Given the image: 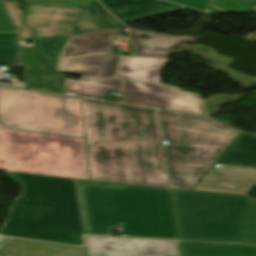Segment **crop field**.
<instances>
[{
  "label": "crop field",
  "instance_id": "f4fd0767",
  "mask_svg": "<svg viewBox=\"0 0 256 256\" xmlns=\"http://www.w3.org/2000/svg\"><path fill=\"white\" fill-rule=\"evenodd\" d=\"M0 170L89 180L85 139L0 128Z\"/></svg>",
  "mask_w": 256,
  "mask_h": 256
},
{
  "label": "crop field",
  "instance_id": "00972430",
  "mask_svg": "<svg viewBox=\"0 0 256 256\" xmlns=\"http://www.w3.org/2000/svg\"><path fill=\"white\" fill-rule=\"evenodd\" d=\"M256 9V0H212L209 12L248 13Z\"/></svg>",
  "mask_w": 256,
  "mask_h": 256
},
{
  "label": "crop field",
  "instance_id": "3316defc",
  "mask_svg": "<svg viewBox=\"0 0 256 256\" xmlns=\"http://www.w3.org/2000/svg\"><path fill=\"white\" fill-rule=\"evenodd\" d=\"M87 256H179L176 241L85 236Z\"/></svg>",
  "mask_w": 256,
  "mask_h": 256
},
{
  "label": "crop field",
  "instance_id": "5a996713",
  "mask_svg": "<svg viewBox=\"0 0 256 256\" xmlns=\"http://www.w3.org/2000/svg\"><path fill=\"white\" fill-rule=\"evenodd\" d=\"M122 93L126 94L124 103L209 116L199 94L178 87L125 81Z\"/></svg>",
  "mask_w": 256,
  "mask_h": 256
},
{
  "label": "crop field",
  "instance_id": "34b2d1b8",
  "mask_svg": "<svg viewBox=\"0 0 256 256\" xmlns=\"http://www.w3.org/2000/svg\"><path fill=\"white\" fill-rule=\"evenodd\" d=\"M5 173L23 191L0 235L83 245L74 179Z\"/></svg>",
  "mask_w": 256,
  "mask_h": 256
},
{
  "label": "crop field",
  "instance_id": "733c2abd",
  "mask_svg": "<svg viewBox=\"0 0 256 256\" xmlns=\"http://www.w3.org/2000/svg\"><path fill=\"white\" fill-rule=\"evenodd\" d=\"M166 60L159 58L121 57L116 78L161 84L159 75Z\"/></svg>",
  "mask_w": 256,
  "mask_h": 256
},
{
  "label": "crop field",
  "instance_id": "ae1a2a85",
  "mask_svg": "<svg viewBox=\"0 0 256 256\" xmlns=\"http://www.w3.org/2000/svg\"><path fill=\"white\" fill-rule=\"evenodd\" d=\"M118 57H107L103 65L102 71L99 77L102 78H113L116 62Z\"/></svg>",
  "mask_w": 256,
  "mask_h": 256
},
{
  "label": "crop field",
  "instance_id": "730fd06b",
  "mask_svg": "<svg viewBox=\"0 0 256 256\" xmlns=\"http://www.w3.org/2000/svg\"><path fill=\"white\" fill-rule=\"evenodd\" d=\"M4 5L9 13L15 27H19L22 29V30H20V32H18L19 37L23 38V37L34 36L33 30L22 25V22H21L22 10L16 6L15 2L14 1L5 2Z\"/></svg>",
  "mask_w": 256,
  "mask_h": 256
},
{
  "label": "crop field",
  "instance_id": "4a817a6b",
  "mask_svg": "<svg viewBox=\"0 0 256 256\" xmlns=\"http://www.w3.org/2000/svg\"><path fill=\"white\" fill-rule=\"evenodd\" d=\"M182 256H256L255 247L179 241Z\"/></svg>",
  "mask_w": 256,
  "mask_h": 256
},
{
  "label": "crop field",
  "instance_id": "5142ce71",
  "mask_svg": "<svg viewBox=\"0 0 256 256\" xmlns=\"http://www.w3.org/2000/svg\"><path fill=\"white\" fill-rule=\"evenodd\" d=\"M100 2L121 22L185 8L159 0H100Z\"/></svg>",
  "mask_w": 256,
  "mask_h": 256
},
{
  "label": "crop field",
  "instance_id": "214f88e0",
  "mask_svg": "<svg viewBox=\"0 0 256 256\" xmlns=\"http://www.w3.org/2000/svg\"><path fill=\"white\" fill-rule=\"evenodd\" d=\"M122 81L102 78L80 77L78 80L65 79V91L77 94L102 97L109 90L120 91Z\"/></svg>",
  "mask_w": 256,
  "mask_h": 256
},
{
  "label": "crop field",
  "instance_id": "750c4746",
  "mask_svg": "<svg viewBox=\"0 0 256 256\" xmlns=\"http://www.w3.org/2000/svg\"><path fill=\"white\" fill-rule=\"evenodd\" d=\"M9 20V19H8ZM7 20V17L0 5V32H6V31H15L12 27H11V23L9 24Z\"/></svg>",
  "mask_w": 256,
  "mask_h": 256
},
{
  "label": "crop field",
  "instance_id": "bc2a9ffb",
  "mask_svg": "<svg viewBox=\"0 0 256 256\" xmlns=\"http://www.w3.org/2000/svg\"><path fill=\"white\" fill-rule=\"evenodd\" d=\"M215 163L256 167V136L241 132Z\"/></svg>",
  "mask_w": 256,
  "mask_h": 256
},
{
  "label": "crop field",
  "instance_id": "d1516ede",
  "mask_svg": "<svg viewBox=\"0 0 256 256\" xmlns=\"http://www.w3.org/2000/svg\"><path fill=\"white\" fill-rule=\"evenodd\" d=\"M25 24L37 31V37L69 35L81 10L30 6Z\"/></svg>",
  "mask_w": 256,
  "mask_h": 256
},
{
  "label": "crop field",
  "instance_id": "dd49c442",
  "mask_svg": "<svg viewBox=\"0 0 256 256\" xmlns=\"http://www.w3.org/2000/svg\"><path fill=\"white\" fill-rule=\"evenodd\" d=\"M169 192L178 239L238 243L248 197Z\"/></svg>",
  "mask_w": 256,
  "mask_h": 256
},
{
  "label": "crop field",
  "instance_id": "d3111659",
  "mask_svg": "<svg viewBox=\"0 0 256 256\" xmlns=\"http://www.w3.org/2000/svg\"><path fill=\"white\" fill-rule=\"evenodd\" d=\"M177 3H181L184 5H188L191 7L199 8L205 10L206 4L208 0H170Z\"/></svg>",
  "mask_w": 256,
  "mask_h": 256
},
{
  "label": "crop field",
  "instance_id": "cbeb9de0",
  "mask_svg": "<svg viewBox=\"0 0 256 256\" xmlns=\"http://www.w3.org/2000/svg\"><path fill=\"white\" fill-rule=\"evenodd\" d=\"M129 31L136 56L144 57L167 58L172 48L186 42L194 43L197 39V37L170 36L131 28Z\"/></svg>",
  "mask_w": 256,
  "mask_h": 256
},
{
  "label": "crop field",
  "instance_id": "d9b57169",
  "mask_svg": "<svg viewBox=\"0 0 256 256\" xmlns=\"http://www.w3.org/2000/svg\"><path fill=\"white\" fill-rule=\"evenodd\" d=\"M0 256H86L85 248L14 239L0 250Z\"/></svg>",
  "mask_w": 256,
  "mask_h": 256
},
{
  "label": "crop field",
  "instance_id": "eef30255",
  "mask_svg": "<svg viewBox=\"0 0 256 256\" xmlns=\"http://www.w3.org/2000/svg\"><path fill=\"white\" fill-rule=\"evenodd\" d=\"M91 4L96 6L98 9H99V20L105 24H108V25H111V26H114V27H117V28H122L123 26L121 24H119L117 21H115L113 19V17L108 14L101 6L100 4L94 0V1H91Z\"/></svg>",
  "mask_w": 256,
  "mask_h": 256
},
{
  "label": "crop field",
  "instance_id": "bd1437ed",
  "mask_svg": "<svg viewBox=\"0 0 256 256\" xmlns=\"http://www.w3.org/2000/svg\"><path fill=\"white\" fill-rule=\"evenodd\" d=\"M2 39H17L16 33H4L0 34V40Z\"/></svg>",
  "mask_w": 256,
  "mask_h": 256
},
{
  "label": "crop field",
  "instance_id": "e52e79f7",
  "mask_svg": "<svg viewBox=\"0 0 256 256\" xmlns=\"http://www.w3.org/2000/svg\"><path fill=\"white\" fill-rule=\"evenodd\" d=\"M0 124L85 138L81 98L0 87Z\"/></svg>",
  "mask_w": 256,
  "mask_h": 256
},
{
  "label": "crop field",
  "instance_id": "22f410ed",
  "mask_svg": "<svg viewBox=\"0 0 256 256\" xmlns=\"http://www.w3.org/2000/svg\"><path fill=\"white\" fill-rule=\"evenodd\" d=\"M21 58L26 68L27 87L62 93V79L52 68L54 63L33 47H23Z\"/></svg>",
  "mask_w": 256,
  "mask_h": 256
},
{
  "label": "crop field",
  "instance_id": "120bbe31",
  "mask_svg": "<svg viewBox=\"0 0 256 256\" xmlns=\"http://www.w3.org/2000/svg\"><path fill=\"white\" fill-rule=\"evenodd\" d=\"M256 12V10H254Z\"/></svg>",
  "mask_w": 256,
  "mask_h": 256
},
{
  "label": "crop field",
  "instance_id": "d8731c3e",
  "mask_svg": "<svg viewBox=\"0 0 256 256\" xmlns=\"http://www.w3.org/2000/svg\"><path fill=\"white\" fill-rule=\"evenodd\" d=\"M108 35H121L117 30L69 36L55 70L57 72L98 77L105 57L113 56L114 43Z\"/></svg>",
  "mask_w": 256,
  "mask_h": 256
},
{
  "label": "crop field",
  "instance_id": "28ad6ade",
  "mask_svg": "<svg viewBox=\"0 0 256 256\" xmlns=\"http://www.w3.org/2000/svg\"><path fill=\"white\" fill-rule=\"evenodd\" d=\"M256 187V168L221 164L209 172L193 190L248 195Z\"/></svg>",
  "mask_w": 256,
  "mask_h": 256
},
{
  "label": "crop field",
  "instance_id": "ac0d7876",
  "mask_svg": "<svg viewBox=\"0 0 256 256\" xmlns=\"http://www.w3.org/2000/svg\"><path fill=\"white\" fill-rule=\"evenodd\" d=\"M75 182L84 233L110 235L109 227L123 226L127 236L177 239L168 189Z\"/></svg>",
  "mask_w": 256,
  "mask_h": 256
},
{
  "label": "crop field",
  "instance_id": "1d83c4d3",
  "mask_svg": "<svg viewBox=\"0 0 256 256\" xmlns=\"http://www.w3.org/2000/svg\"><path fill=\"white\" fill-rule=\"evenodd\" d=\"M11 238L0 237V247L5 244Z\"/></svg>",
  "mask_w": 256,
  "mask_h": 256
},
{
  "label": "crop field",
  "instance_id": "dafd665d",
  "mask_svg": "<svg viewBox=\"0 0 256 256\" xmlns=\"http://www.w3.org/2000/svg\"><path fill=\"white\" fill-rule=\"evenodd\" d=\"M239 243L256 245V199L249 197Z\"/></svg>",
  "mask_w": 256,
  "mask_h": 256
},
{
  "label": "crop field",
  "instance_id": "412701ff",
  "mask_svg": "<svg viewBox=\"0 0 256 256\" xmlns=\"http://www.w3.org/2000/svg\"><path fill=\"white\" fill-rule=\"evenodd\" d=\"M170 185L190 189L239 132L196 115L158 110Z\"/></svg>",
  "mask_w": 256,
  "mask_h": 256
},
{
  "label": "crop field",
  "instance_id": "a9b5d70f",
  "mask_svg": "<svg viewBox=\"0 0 256 256\" xmlns=\"http://www.w3.org/2000/svg\"><path fill=\"white\" fill-rule=\"evenodd\" d=\"M68 36L37 38V45L45 57L56 62Z\"/></svg>",
  "mask_w": 256,
  "mask_h": 256
},
{
  "label": "crop field",
  "instance_id": "4177f3b9",
  "mask_svg": "<svg viewBox=\"0 0 256 256\" xmlns=\"http://www.w3.org/2000/svg\"><path fill=\"white\" fill-rule=\"evenodd\" d=\"M18 61H19V58H18L17 40L0 41V64L18 62ZM3 85H6V84H3Z\"/></svg>",
  "mask_w": 256,
  "mask_h": 256
},
{
  "label": "crop field",
  "instance_id": "92a150f3",
  "mask_svg": "<svg viewBox=\"0 0 256 256\" xmlns=\"http://www.w3.org/2000/svg\"><path fill=\"white\" fill-rule=\"evenodd\" d=\"M86 2L72 32L73 34L113 30L97 21V10Z\"/></svg>",
  "mask_w": 256,
  "mask_h": 256
},
{
  "label": "crop field",
  "instance_id": "8a807250",
  "mask_svg": "<svg viewBox=\"0 0 256 256\" xmlns=\"http://www.w3.org/2000/svg\"><path fill=\"white\" fill-rule=\"evenodd\" d=\"M82 102L90 179L168 187L154 109Z\"/></svg>",
  "mask_w": 256,
  "mask_h": 256
}]
</instances>
